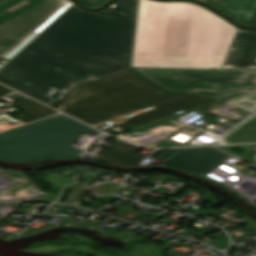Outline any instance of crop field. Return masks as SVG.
<instances>
[{"label":"crop field","mask_w":256,"mask_h":256,"mask_svg":"<svg viewBox=\"0 0 256 256\" xmlns=\"http://www.w3.org/2000/svg\"><path fill=\"white\" fill-rule=\"evenodd\" d=\"M11 92L13 91L0 85V97H3Z\"/></svg>","instance_id":"15"},{"label":"crop field","mask_w":256,"mask_h":256,"mask_svg":"<svg viewBox=\"0 0 256 256\" xmlns=\"http://www.w3.org/2000/svg\"><path fill=\"white\" fill-rule=\"evenodd\" d=\"M222 68L256 69V31L238 28Z\"/></svg>","instance_id":"8"},{"label":"crop field","mask_w":256,"mask_h":256,"mask_svg":"<svg viewBox=\"0 0 256 256\" xmlns=\"http://www.w3.org/2000/svg\"><path fill=\"white\" fill-rule=\"evenodd\" d=\"M215 102L197 93H170L128 68L80 83L57 109L97 127L107 120L121 123L122 116L152 105L154 110L122 124L132 130Z\"/></svg>","instance_id":"3"},{"label":"crop field","mask_w":256,"mask_h":256,"mask_svg":"<svg viewBox=\"0 0 256 256\" xmlns=\"http://www.w3.org/2000/svg\"><path fill=\"white\" fill-rule=\"evenodd\" d=\"M72 5L71 0H6L0 3V60H10Z\"/></svg>","instance_id":"5"},{"label":"crop field","mask_w":256,"mask_h":256,"mask_svg":"<svg viewBox=\"0 0 256 256\" xmlns=\"http://www.w3.org/2000/svg\"><path fill=\"white\" fill-rule=\"evenodd\" d=\"M236 30L190 2L140 0L132 67L221 66Z\"/></svg>","instance_id":"2"},{"label":"crop field","mask_w":256,"mask_h":256,"mask_svg":"<svg viewBox=\"0 0 256 256\" xmlns=\"http://www.w3.org/2000/svg\"><path fill=\"white\" fill-rule=\"evenodd\" d=\"M139 149L141 147L117 140L110 151L99 148L95 160L120 166L137 165L146 156L136 153Z\"/></svg>","instance_id":"9"},{"label":"crop field","mask_w":256,"mask_h":256,"mask_svg":"<svg viewBox=\"0 0 256 256\" xmlns=\"http://www.w3.org/2000/svg\"><path fill=\"white\" fill-rule=\"evenodd\" d=\"M181 149H169L167 152L161 154L159 157H162V158H170L172 157L176 152L180 151Z\"/></svg>","instance_id":"13"},{"label":"crop field","mask_w":256,"mask_h":256,"mask_svg":"<svg viewBox=\"0 0 256 256\" xmlns=\"http://www.w3.org/2000/svg\"><path fill=\"white\" fill-rule=\"evenodd\" d=\"M248 23L256 9V0H214Z\"/></svg>","instance_id":"11"},{"label":"crop field","mask_w":256,"mask_h":256,"mask_svg":"<svg viewBox=\"0 0 256 256\" xmlns=\"http://www.w3.org/2000/svg\"><path fill=\"white\" fill-rule=\"evenodd\" d=\"M15 106L25 110V112L16 116L23 123L57 113V111H55L51 108H48L44 105H41V104H39L35 101H32L30 99L18 102L15 104Z\"/></svg>","instance_id":"10"},{"label":"crop field","mask_w":256,"mask_h":256,"mask_svg":"<svg viewBox=\"0 0 256 256\" xmlns=\"http://www.w3.org/2000/svg\"><path fill=\"white\" fill-rule=\"evenodd\" d=\"M249 26H256V12L248 23Z\"/></svg>","instance_id":"16"},{"label":"crop field","mask_w":256,"mask_h":256,"mask_svg":"<svg viewBox=\"0 0 256 256\" xmlns=\"http://www.w3.org/2000/svg\"><path fill=\"white\" fill-rule=\"evenodd\" d=\"M136 1L100 13L74 5L0 70V82L47 104L51 89L129 67Z\"/></svg>","instance_id":"1"},{"label":"crop field","mask_w":256,"mask_h":256,"mask_svg":"<svg viewBox=\"0 0 256 256\" xmlns=\"http://www.w3.org/2000/svg\"><path fill=\"white\" fill-rule=\"evenodd\" d=\"M108 1H110V0H101L99 3H97L94 7H92L91 9H96V8H98V7H101V6H104ZM200 1H202V2H204V3H206V4H208V2L210 1V0H200Z\"/></svg>","instance_id":"14"},{"label":"crop field","mask_w":256,"mask_h":256,"mask_svg":"<svg viewBox=\"0 0 256 256\" xmlns=\"http://www.w3.org/2000/svg\"><path fill=\"white\" fill-rule=\"evenodd\" d=\"M2 1H4V0H0V2H2Z\"/></svg>","instance_id":"19"},{"label":"crop field","mask_w":256,"mask_h":256,"mask_svg":"<svg viewBox=\"0 0 256 256\" xmlns=\"http://www.w3.org/2000/svg\"><path fill=\"white\" fill-rule=\"evenodd\" d=\"M229 156L214 147L184 148L162 165L175 167L201 176Z\"/></svg>","instance_id":"7"},{"label":"crop field","mask_w":256,"mask_h":256,"mask_svg":"<svg viewBox=\"0 0 256 256\" xmlns=\"http://www.w3.org/2000/svg\"><path fill=\"white\" fill-rule=\"evenodd\" d=\"M82 2L92 6L94 3H96L98 0H81Z\"/></svg>","instance_id":"17"},{"label":"crop field","mask_w":256,"mask_h":256,"mask_svg":"<svg viewBox=\"0 0 256 256\" xmlns=\"http://www.w3.org/2000/svg\"><path fill=\"white\" fill-rule=\"evenodd\" d=\"M10 97H12V98H14V99H19V98H21V97H23L22 95H20V94H18V93H14V94H12V95H10Z\"/></svg>","instance_id":"18"},{"label":"crop field","mask_w":256,"mask_h":256,"mask_svg":"<svg viewBox=\"0 0 256 256\" xmlns=\"http://www.w3.org/2000/svg\"><path fill=\"white\" fill-rule=\"evenodd\" d=\"M83 132H100L59 116L0 136V159L10 162L76 158L83 150L70 145Z\"/></svg>","instance_id":"4"},{"label":"crop field","mask_w":256,"mask_h":256,"mask_svg":"<svg viewBox=\"0 0 256 256\" xmlns=\"http://www.w3.org/2000/svg\"><path fill=\"white\" fill-rule=\"evenodd\" d=\"M211 1H212V0H211ZM211 1H210V2H211ZM210 2H209V4H210Z\"/></svg>","instance_id":"20"},{"label":"crop field","mask_w":256,"mask_h":256,"mask_svg":"<svg viewBox=\"0 0 256 256\" xmlns=\"http://www.w3.org/2000/svg\"><path fill=\"white\" fill-rule=\"evenodd\" d=\"M134 69L171 91H196L222 101L256 90V70Z\"/></svg>","instance_id":"6"},{"label":"crop field","mask_w":256,"mask_h":256,"mask_svg":"<svg viewBox=\"0 0 256 256\" xmlns=\"http://www.w3.org/2000/svg\"><path fill=\"white\" fill-rule=\"evenodd\" d=\"M214 7H216L218 10H220L221 12H223L224 14H226L227 16L231 17L232 19H234L236 22H238L239 24H242L244 26H246L247 23H245L243 20H241L240 18H238L236 15L232 14L231 12L227 11L226 9H224L222 6H220L219 4L215 3L212 1V3L210 4Z\"/></svg>","instance_id":"12"}]
</instances>
